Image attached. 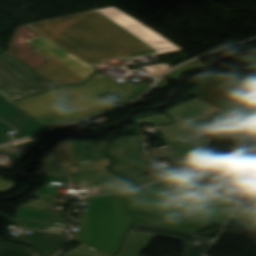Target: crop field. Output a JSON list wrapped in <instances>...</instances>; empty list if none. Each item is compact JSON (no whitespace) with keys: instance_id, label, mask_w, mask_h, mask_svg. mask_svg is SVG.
I'll return each mask as SVG.
<instances>
[{"instance_id":"crop-field-1","label":"crop field","mask_w":256,"mask_h":256,"mask_svg":"<svg viewBox=\"0 0 256 256\" xmlns=\"http://www.w3.org/2000/svg\"><path fill=\"white\" fill-rule=\"evenodd\" d=\"M114 7L27 26L88 65L182 50Z\"/></svg>"},{"instance_id":"crop-field-2","label":"crop field","mask_w":256,"mask_h":256,"mask_svg":"<svg viewBox=\"0 0 256 256\" xmlns=\"http://www.w3.org/2000/svg\"><path fill=\"white\" fill-rule=\"evenodd\" d=\"M106 144L84 140L61 143L48 155L40 169L39 173L50 175H40L46 184L36 195L38 200L23 206L47 210L52 202L63 204L64 199L56 198L60 197L59 189L68 185V177H71L72 183L88 186L92 191L90 195L125 191L134 187V184L111 174L107 169L111 160L103 153Z\"/></svg>"},{"instance_id":"crop-field-3","label":"crop field","mask_w":256,"mask_h":256,"mask_svg":"<svg viewBox=\"0 0 256 256\" xmlns=\"http://www.w3.org/2000/svg\"><path fill=\"white\" fill-rule=\"evenodd\" d=\"M116 92L120 105L138 97L101 72L81 86H65L54 91L14 102L51 127L72 123L82 118L116 107L110 100L96 94Z\"/></svg>"},{"instance_id":"crop-field-4","label":"crop field","mask_w":256,"mask_h":256,"mask_svg":"<svg viewBox=\"0 0 256 256\" xmlns=\"http://www.w3.org/2000/svg\"><path fill=\"white\" fill-rule=\"evenodd\" d=\"M128 208L135 221L195 234L211 220L222 222L228 208L190 199L133 192Z\"/></svg>"},{"instance_id":"crop-field-5","label":"crop field","mask_w":256,"mask_h":256,"mask_svg":"<svg viewBox=\"0 0 256 256\" xmlns=\"http://www.w3.org/2000/svg\"><path fill=\"white\" fill-rule=\"evenodd\" d=\"M127 196L128 194L88 199V210L81 218L82 228L72 241L114 253L131 220L125 208Z\"/></svg>"},{"instance_id":"crop-field-6","label":"crop field","mask_w":256,"mask_h":256,"mask_svg":"<svg viewBox=\"0 0 256 256\" xmlns=\"http://www.w3.org/2000/svg\"><path fill=\"white\" fill-rule=\"evenodd\" d=\"M25 42L36 48L32 51L49 60L34 70L58 86L79 84L87 80L95 70L41 35L25 40Z\"/></svg>"},{"instance_id":"crop-field-7","label":"crop field","mask_w":256,"mask_h":256,"mask_svg":"<svg viewBox=\"0 0 256 256\" xmlns=\"http://www.w3.org/2000/svg\"><path fill=\"white\" fill-rule=\"evenodd\" d=\"M57 87L8 53L0 55V95L9 102Z\"/></svg>"},{"instance_id":"crop-field-8","label":"crop field","mask_w":256,"mask_h":256,"mask_svg":"<svg viewBox=\"0 0 256 256\" xmlns=\"http://www.w3.org/2000/svg\"><path fill=\"white\" fill-rule=\"evenodd\" d=\"M145 140L147 137L143 135L123 137L106 150L115 160L112 171L130 179L139 186L163 178L158 174L148 177L141 174L147 171L145 163L150 162V156L145 152Z\"/></svg>"},{"instance_id":"crop-field-9","label":"crop field","mask_w":256,"mask_h":256,"mask_svg":"<svg viewBox=\"0 0 256 256\" xmlns=\"http://www.w3.org/2000/svg\"><path fill=\"white\" fill-rule=\"evenodd\" d=\"M190 173L143 188L152 195L191 197L231 208L230 201L217 193L193 184Z\"/></svg>"},{"instance_id":"crop-field-10","label":"crop field","mask_w":256,"mask_h":256,"mask_svg":"<svg viewBox=\"0 0 256 256\" xmlns=\"http://www.w3.org/2000/svg\"><path fill=\"white\" fill-rule=\"evenodd\" d=\"M131 230L177 239L183 242V256H203L213 241L191 234L134 223Z\"/></svg>"},{"instance_id":"crop-field-11","label":"crop field","mask_w":256,"mask_h":256,"mask_svg":"<svg viewBox=\"0 0 256 256\" xmlns=\"http://www.w3.org/2000/svg\"><path fill=\"white\" fill-rule=\"evenodd\" d=\"M0 117L17 128V133L13 135V137L16 139L48 129L26 113L11 105L1 96Z\"/></svg>"},{"instance_id":"crop-field-12","label":"crop field","mask_w":256,"mask_h":256,"mask_svg":"<svg viewBox=\"0 0 256 256\" xmlns=\"http://www.w3.org/2000/svg\"><path fill=\"white\" fill-rule=\"evenodd\" d=\"M222 110L196 98L181 103L167 110V113L178 122L195 120L214 115Z\"/></svg>"},{"instance_id":"crop-field-13","label":"crop field","mask_w":256,"mask_h":256,"mask_svg":"<svg viewBox=\"0 0 256 256\" xmlns=\"http://www.w3.org/2000/svg\"><path fill=\"white\" fill-rule=\"evenodd\" d=\"M69 236L49 234L43 232H30L26 237H20L16 242L30 245L37 249L41 256H54L61 247L66 243Z\"/></svg>"},{"instance_id":"crop-field-14","label":"crop field","mask_w":256,"mask_h":256,"mask_svg":"<svg viewBox=\"0 0 256 256\" xmlns=\"http://www.w3.org/2000/svg\"><path fill=\"white\" fill-rule=\"evenodd\" d=\"M150 149L152 151L153 159L158 160L167 158L171 162L169 168L160 171L165 177H170L196 168L167 145L159 149H155L154 147Z\"/></svg>"},{"instance_id":"crop-field-15","label":"crop field","mask_w":256,"mask_h":256,"mask_svg":"<svg viewBox=\"0 0 256 256\" xmlns=\"http://www.w3.org/2000/svg\"><path fill=\"white\" fill-rule=\"evenodd\" d=\"M172 149L182 155L196 167L206 165L208 145H201L199 140L180 143H168Z\"/></svg>"},{"instance_id":"crop-field-16","label":"crop field","mask_w":256,"mask_h":256,"mask_svg":"<svg viewBox=\"0 0 256 256\" xmlns=\"http://www.w3.org/2000/svg\"><path fill=\"white\" fill-rule=\"evenodd\" d=\"M66 216L67 214L64 213L50 212L41 209H33L26 207H19L17 209V217L19 218L70 226L69 222L65 221Z\"/></svg>"},{"instance_id":"crop-field-17","label":"crop field","mask_w":256,"mask_h":256,"mask_svg":"<svg viewBox=\"0 0 256 256\" xmlns=\"http://www.w3.org/2000/svg\"><path fill=\"white\" fill-rule=\"evenodd\" d=\"M153 237V235L129 230L122 251L117 256H139V253Z\"/></svg>"},{"instance_id":"crop-field-18","label":"crop field","mask_w":256,"mask_h":256,"mask_svg":"<svg viewBox=\"0 0 256 256\" xmlns=\"http://www.w3.org/2000/svg\"><path fill=\"white\" fill-rule=\"evenodd\" d=\"M158 130L169 142L198 139L182 124L163 127Z\"/></svg>"},{"instance_id":"crop-field-19","label":"crop field","mask_w":256,"mask_h":256,"mask_svg":"<svg viewBox=\"0 0 256 256\" xmlns=\"http://www.w3.org/2000/svg\"><path fill=\"white\" fill-rule=\"evenodd\" d=\"M0 256H40L38 251L25 246L3 242L0 244Z\"/></svg>"},{"instance_id":"crop-field-20","label":"crop field","mask_w":256,"mask_h":256,"mask_svg":"<svg viewBox=\"0 0 256 256\" xmlns=\"http://www.w3.org/2000/svg\"><path fill=\"white\" fill-rule=\"evenodd\" d=\"M17 225L31 228V229H37V230H54V231H60L64 232V230L69 229L67 226H61V225H55V224H49V223H43V222H37V221H31V220H25V219H19L16 218ZM22 224H19V223Z\"/></svg>"},{"instance_id":"crop-field-21","label":"crop field","mask_w":256,"mask_h":256,"mask_svg":"<svg viewBox=\"0 0 256 256\" xmlns=\"http://www.w3.org/2000/svg\"><path fill=\"white\" fill-rule=\"evenodd\" d=\"M231 219L247 229L254 228L256 227V210L241 211L236 209Z\"/></svg>"},{"instance_id":"crop-field-22","label":"crop field","mask_w":256,"mask_h":256,"mask_svg":"<svg viewBox=\"0 0 256 256\" xmlns=\"http://www.w3.org/2000/svg\"><path fill=\"white\" fill-rule=\"evenodd\" d=\"M231 121L245 124L248 129L256 128V103L234 117Z\"/></svg>"},{"instance_id":"crop-field-23","label":"crop field","mask_w":256,"mask_h":256,"mask_svg":"<svg viewBox=\"0 0 256 256\" xmlns=\"http://www.w3.org/2000/svg\"><path fill=\"white\" fill-rule=\"evenodd\" d=\"M65 256H107L97 250L91 249L85 245L79 244L70 251L63 254Z\"/></svg>"},{"instance_id":"crop-field-24","label":"crop field","mask_w":256,"mask_h":256,"mask_svg":"<svg viewBox=\"0 0 256 256\" xmlns=\"http://www.w3.org/2000/svg\"><path fill=\"white\" fill-rule=\"evenodd\" d=\"M138 124H144L151 122L154 127L162 126V125H168L173 124L174 122L171 121L166 115H155V116H149L142 119H139L135 121Z\"/></svg>"},{"instance_id":"crop-field-25","label":"crop field","mask_w":256,"mask_h":256,"mask_svg":"<svg viewBox=\"0 0 256 256\" xmlns=\"http://www.w3.org/2000/svg\"><path fill=\"white\" fill-rule=\"evenodd\" d=\"M135 67L142 68V69L146 70L149 74H151L155 77L160 76L165 71L172 68L168 63L155 64V65H152V66H135Z\"/></svg>"},{"instance_id":"crop-field-26","label":"crop field","mask_w":256,"mask_h":256,"mask_svg":"<svg viewBox=\"0 0 256 256\" xmlns=\"http://www.w3.org/2000/svg\"><path fill=\"white\" fill-rule=\"evenodd\" d=\"M209 118L203 119V120H198V121H193V122H188L186 123L194 132H201L203 130H209Z\"/></svg>"},{"instance_id":"crop-field-27","label":"crop field","mask_w":256,"mask_h":256,"mask_svg":"<svg viewBox=\"0 0 256 256\" xmlns=\"http://www.w3.org/2000/svg\"><path fill=\"white\" fill-rule=\"evenodd\" d=\"M124 87L128 88L129 90H131L132 92L136 93L137 95H141L149 86L150 84L143 82L140 84H133L131 82L122 84Z\"/></svg>"},{"instance_id":"crop-field-28","label":"crop field","mask_w":256,"mask_h":256,"mask_svg":"<svg viewBox=\"0 0 256 256\" xmlns=\"http://www.w3.org/2000/svg\"><path fill=\"white\" fill-rule=\"evenodd\" d=\"M14 129L5 124L0 120V144L12 141L9 135L5 134L7 132L13 131Z\"/></svg>"},{"instance_id":"crop-field-29","label":"crop field","mask_w":256,"mask_h":256,"mask_svg":"<svg viewBox=\"0 0 256 256\" xmlns=\"http://www.w3.org/2000/svg\"><path fill=\"white\" fill-rule=\"evenodd\" d=\"M14 184H15V182L8 181V180H5L2 177H0V191H6V190L12 188Z\"/></svg>"},{"instance_id":"crop-field-30","label":"crop field","mask_w":256,"mask_h":256,"mask_svg":"<svg viewBox=\"0 0 256 256\" xmlns=\"http://www.w3.org/2000/svg\"><path fill=\"white\" fill-rule=\"evenodd\" d=\"M254 171H256V151L253 153Z\"/></svg>"},{"instance_id":"crop-field-31","label":"crop field","mask_w":256,"mask_h":256,"mask_svg":"<svg viewBox=\"0 0 256 256\" xmlns=\"http://www.w3.org/2000/svg\"><path fill=\"white\" fill-rule=\"evenodd\" d=\"M51 232H54V231H51ZM56 233H60V232H56ZM61 234H64V233H61Z\"/></svg>"},{"instance_id":"crop-field-32","label":"crop field","mask_w":256,"mask_h":256,"mask_svg":"<svg viewBox=\"0 0 256 256\" xmlns=\"http://www.w3.org/2000/svg\"><path fill=\"white\" fill-rule=\"evenodd\" d=\"M255 146H256V142H254Z\"/></svg>"},{"instance_id":"crop-field-33","label":"crop field","mask_w":256,"mask_h":256,"mask_svg":"<svg viewBox=\"0 0 256 256\" xmlns=\"http://www.w3.org/2000/svg\"><path fill=\"white\" fill-rule=\"evenodd\" d=\"M254 68H256V65L254 66Z\"/></svg>"}]
</instances>
